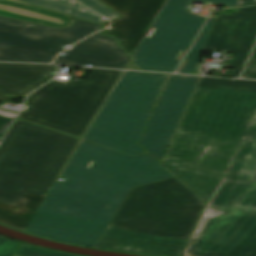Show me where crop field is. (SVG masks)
Listing matches in <instances>:
<instances>
[{
  "mask_svg": "<svg viewBox=\"0 0 256 256\" xmlns=\"http://www.w3.org/2000/svg\"><path fill=\"white\" fill-rule=\"evenodd\" d=\"M159 165L82 141L26 233L95 248L132 187L171 177Z\"/></svg>",
  "mask_w": 256,
  "mask_h": 256,
  "instance_id": "1",
  "label": "crop field"
},
{
  "mask_svg": "<svg viewBox=\"0 0 256 256\" xmlns=\"http://www.w3.org/2000/svg\"><path fill=\"white\" fill-rule=\"evenodd\" d=\"M256 111V81L202 77L164 166L207 203Z\"/></svg>",
  "mask_w": 256,
  "mask_h": 256,
  "instance_id": "2",
  "label": "crop field"
},
{
  "mask_svg": "<svg viewBox=\"0 0 256 256\" xmlns=\"http://www.w3.org/2000/svg\"><path fill=\"white\" fill-rule=\"evenodd\" d=\"M206 207L175 177L131 189L96 248L183 256Z\"/></svg>",
  "mask_w": 256,
  "mask_h": 256,
  "instance_id": "3",
  "label": "crop field"
},
{
  "mask_svg": "<svg viewBox=\"0 0 256 256\" xmlns=\"http://www.w3.org/2000/svg\"><path fill=\"white\" fill-rule=\"evenodd\" d=\"M78 141L16 119L0 145V223L25 232Z\"/></svg>",
  "mask_w": 256,
  "mask_h": 256,
  "instance_id": "4",
  "label": "crop field"
},
{
  "mask_svg": "<svg viewBox=\"0 0 256 256\" xmlns=\"http://www.w3.org/2000/svg\"><path fill=\"white\" fill-rule=\"evenodd\" d=\"M188 256H256V119L227 168Z\"/></svg>",
  "mask_w": 256,
  "mask_h": 256,
  "instance_id": "5",
  "label": "crop field"
},
{
  "mask_svg": "<svg viewBox=\"0 0 256 256\" xmlns=\"http://www.w3.org/2000/svg\"><path fill=\"white\" fill-rule=\"evenodd\" d=\"M91 71L87 80L68 83L52 80L28 96V109L18 118L81 138L86 126L122 71Z\"/></svg>",
  "mask_w": 256,
  "mask_h": 256,
  "instance_id": "6",
  "label": "crop field"
},
{
  "mask_svg": "<svg viewBox=\"0 0 256 256\" xmlns=\"http://www.w3.org/2000/svg\"><path fill=\"white\" fill-rule=\"evenodd\" d=\"M166 77L126 71L84 140L129 155L144 153L137 142Z\"/></svg>",
  "mask_w": 256,
  "mask_h": 256,
  "instance_id": "7",
  "label": "crop field"
},
{
  "mask_svg": "<svg viewBox=\"0 0 256 256\" xmlns=\"http://www.w3.org/2000/svg\"><path fill=\"white\" fill-rule=\"evenodd\" d=\"M236 7L238 0H200ZM191 0H167L133 54L142 70L174 72L206 17L192 15Z\"/></svg>",
  "mask_w": 256,
  "mask_h": 256,
  "instance_id": "8",
  "label": "crop field"
},
{
  "mask_svg": "<svg viewBox=\"0 0 256 256\" xmlns=\"http://www.w3.org/2000/svg\"><path fill=\"white\" fill-rule=\"evenodd\" d=\"M101 26L75 19L70 27L53 29L0 16V60L52 63L65 50Z\"/></svg>",
  "mask_w": 256,
  "mask_h": 256,
  "instance_id": "9",
  "label": "crop field"
},
{
  "mask_svg": "<svg viewBox=\"0 0 256 256\" xmlns=\"http://www.w3.org/2000/svg\"><path fill=\"white\" fill-rule=\"evenodd\" d=\"M199 77L172 75L140 141L160 162Z\"/></svg>",
  "mask_w": 256,
  "mask_h": 256,
  "instance_id": "10",
  "label": "crop field"
},
{
  "mask_svg": "<svg viewBox=\"0 0 256 256\" xmlns=\"http://www.w3.org/2000/svg\"><path fill=\"white\" fill-rule=\"evenodd\" d=\"M256 39V6L237 9L235 14H217L204 48L236 53L227 67L238 77Z\"/></svg>",
  "mask_w": 256,
  "mask_h": 256,
  "instance_id": "11",
  "label": "crop field"
},
{
  "mask_svg": "<svg viewBox=\"0 0 256 256\" xmlns=\"http://www.w3.org/2000/svg\"><path fill=\"white\" fill-rule=\"evenodd\" d=\"M123 18L103 24L108 35L121 42L132 56L166 0H99Z\"/></svg>",
  "mask_w": 256,
  "mask_h": 256,
  "instance_id": "12",
  "label": "crop field"
},
{
  "mask_svg": "<svg viewBox=\"0 0 256 256\" xmlns=\"http://www.w3.org/2000/svg\"><path fill=\"white\" fill-rule=\"evenodd\" d=\"M66 55L56 57L55 63L123 69L129 61L127 54L117 46V41L99 32L66 50Z\"/></svg>",
  "mask_w": 256,
  "mask_h": 256,
  "instance_id": "13",
  "label": "crop field"
},
{
  "mask_svg": "<svg viewBox=\"0 0 256 256\" xmlns=\"http://www.w3.org/2000/svg\"><path fill=\"white\" fill-rule=\"evenodd\" d=\"M52 65L0 63V101L22 97L55 75Z\"/></svg>",
  "mask_w": 256,
  "mask_h": 256,
  "instance_id": "14",
  "label": "crop field"
},
{
  "mask_svg": "<svg viewBox=\"0 0 256 256\" xmlns=\"http://www.w3.org/2000/svg\"><path fill=\"white\" fill-rule=\"evenodd\" d=\"M44 8L69 14L73 17L91 20L97 23L119 18L115 12L97 0H23Z\"/></svg>",
  "mask_w": 256,
  "mask_h": 256,
  "instance_id": "15",
  "label": "crop field"
},
{
  "mask_svg": "<svg viewBox=\"0 0 256 256\" xmlns=\"http://www.w3.org/2000/svg\"><path fill=\"white\" fill-rule=\"evenodd\" d=\"M0 15L54 28L70 26V17L15 0H0Z\"/></svg>",
  "mask_w": 256,
  "mask_h": 256,
  "instance_id": "16",
  "label": "crop field"
},
{
  "mask_svg": "<svg viewBox=\"0 0 256 256\" xmlns=\"http://www.w3.org/2000/svg\"><path fill=\"white\" fill-rule=\"evenodd\" d=\"M216 15H211L177 73L193 74Z\"/></svg>",
  "mask_w": 256,
  "mask_h": 256,
  "instance_id": "17",
  "label": "crop field"
},
{
  "mask_svg": "<svg viewBox=\"0 0 256 256\" xmlns=\"http://www.w3.org/2000/svg\"><path fill=\"white\" fill-rule=\"evenodd\" d=\"M13 256H71L22 244Z\"/></svg>",
  "mask_w": 256,
  "mask_h": 256,
  "instance_id": "18",
  "label": "crop field"
},
{
  "mask_svg": "<svg viewBox=\"0 0 256 256\" xmlns=\"http://www.w3.org/2000/svg\"><path fill=\"white\" fill-rule=\"evenodd\" d=\"M20 245V242L0 237V256H11Z\"/></svg>",
  "mask_w": 256,
  "mask_h": 256,
  "instance_id": "19",
  "label": "crop field"
},
{
  "mask_svg": "<svg viewBox=\"0 0 256 256\" xmlns=\"http://www.w3.org/2000/svg\"><path fill=\"white\" fill-rule=\"evenodd\" d=\"M242 78H256V46Z\"/></svg>",
  "mask_w": 256,
  "mask_h": 256,
  "instance_id": "20",
  "label": "crop field"
},
{
  "mask_svg": "<svg viewBox=\"0 0 256 256\" xmlns=\"http://www.w3.org/2000/svg\"><path fill=\"white\" fill-rule=\"evenodd\" d=\"M11 121H12L11 119L4 118V117L0 116V138H2V136L6 132L8 126L11 123Z\"/></svg>",
  "mask_w": 256,
  "mask_h": 256,
  "instance_id": "21",
  "label": "crop field"
},
{
  "mask_svg": "<svg viewBox=\"0 0 256 256\" xmlns=\"http://www.w3.org/2000/svg\"><path fill=\"white\" fill-rule=\"evenodd\" d=\"M256 4V0H239L237 6H246V5H252Z\"/></svg>",
  "mask_w": 256,
  "mask_h": 256,
  "instance_id": "22",
  "label": "crop field"
},
{
  "mask_svg": "<svg viewBox=\"0 0 256 256\" xmlns=\"http://www.w3.org/2000/svg\"><path fill=\"white\" fill-rule=\"evenodd\" d=\"M15 114L16 113H12V112H8V111L0 109V115H3L5 117L13 118L15 116Z\"/></svg>",
  "mask_w": 256,
  "mask_h": 256,
  "instance_id": "23",
  "label": "crop field"
},
{
  "mask_svg": "<svg viewBox=\"0 0 256 256\" xmlns=\"http://www.w3.org/2000/svg\"><path fill=\"white\" fill-rule=\"evenodd\" d=\"M128 69H136L134 65L131 64V60L129 61L128 65L126 66Z\"/></svg>",
  "mask_w": 256,
  "mask_h": 256,
  "instance_id": "24",
  "label": "crop field"
}]
</instances>
